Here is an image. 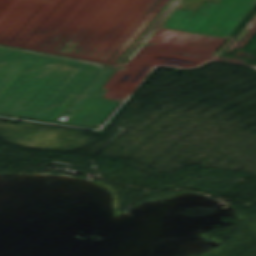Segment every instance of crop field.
Wrapping results in <instances>:
<instances>
[{
    "instance_id": "2",
    "label": "crop field",
    "mask_w": 256,
    "mask_h": 256,
    "mask_svg": "<svg viewBox=\"0 0 256 256\" xmlns=\"http://www.w3.org/2000/svg\"><path fill=\"white\" fill-rule=\"evenodd\" d=\"M182 1L171 0L150 26L228 38L256 5V0H222L204 3L194 12L177 8ZM255 24L256 15L236 38L243 39Z\"/></svg>"
},
{
    "instance_id": "3",
    "label": "crop field",
    "mask_w": 256,
    "mask_h": 256,
    "mask_svg": "<svg viewBox=\"0 0 256 256\" xmlns=\"http://www.w3.org/2000/svg\"><path fill=\"white\" fill-rule=\"evenodd\" d=\"M204 1L219 3L221 0H184L179 7L197 11Z\"/></svg>"
},
{
    "instance_id": "1",
    "label": "crop field",
    "mask_w": 256,
    "mask_h": 256,
    "mask_svg": "<svg viewBox=\"0 0 256 256\" xmlns=\"http://www.w3.org/2000/svg\"><path fill=\"white\" fill-rule=\"evenodd\" d=\"M111 67L0 46V115L93 127L118 101L101 98ZM71 112L66 121H60Z\"/></svg>"
}]
</instances>
